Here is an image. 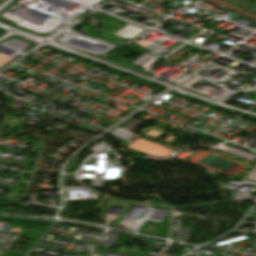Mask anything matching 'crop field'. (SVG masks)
Returning <instances> with one entry per match:
<instances>
[{
  "mask_svg": "<svg viewBox=\"0 0 256 256\" xmlns=\"http://www.w3.org/2000/svg\"><path fill=\"white\" fill-rule=\"evenodd\" d=\"M226 1L231 2L233 4H236L238 6H241V7L247 8V9H251V8L256 7V2L251 3V2L246 1V0H226Z\"/></svg>",
  "mask_w": 256,
  "mask_h": 256,
  "instance_id": "crop-field-1",
  "label": "crop field"
}]
</instances>
